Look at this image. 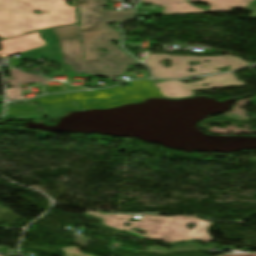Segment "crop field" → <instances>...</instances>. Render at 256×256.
Masks as SVG:
<instances>
[{
    "mask_svg": "<svg viewBox=\"0 0 256 256\" xmlns=\"http://www.w3.org/2000/svg\"><path fill=\"white\" fill-rule=\"evenodd\" d=\"M105 4L106 0H78L85 61L82 57L80 39L63 40L78 36L77 25L54 29L61 43L64 63L71 66L73 72L117 77L124 74L126 65L138 63L112 44L111 41L118 38L121 40V37L114 29L107 27L109 22L129 19L133 12H103L101 7ZM125 15H129V18H124ZM99 48H106L108 53L101 52ZM100 54L105 55L101 57ZM105 66H108V69H105Z\"/></svg>",
    "mask_w": 256,
    "mask_h": 256,
    "instance_id": "8a807250",
    "label": "crop field"
},
{
    "mask_svg": "<svg viewBox=\"0 0 256 256\" xmlns=\"http://www.w3.org/2000/svg\"><path fill=\"white\" fill-rule=\"evenodd\" d=\"M66 1L72 0H0V37L9 39L33 30L76 23V1H72V7ZM33 10L42 13L34 14Z\"/></svg>",
    "mask_w": 256,
    "mask_h": 256,
    "instance_id": "ac0d7876",
    "label": "crop field"
},
{
    "mask_svg": "<svg viewBox=\"0 0 256 256\" xmlns=\"http://www.w3.org/2000/svg\"><path fill=\"white\" fill-rule=\"evenodd\" d=\"M167 54H154L149 55V60L146 62L155 78H184L188 76L194 75H203L208 73H218L221 72V69H226V66H230V69H226L227 71L243 68L245 66H250V64L243 62L241 58L224 56V57H186V56H173V58L169 57ZM193 58V60H190ZM164 59L171 60V67L165 68ZM205 60H208V63H205ZM159 61H163V64H160ZM191 61L195 64V66H190ZM200 61L201 64H197L196 62ZM177 63V65H173ZM204 66V68H201ZM188 68H193L194 73L189 72ZM215 68L219 69L218 71L214 70ZM225 71V72H227Z\"/></svg>",
    "mask_w": 256,
    "mask_h": 256,
    "instance_id": "34b2d1b8",
    "label": "crop field"
},
{
    "mask_svg": "<svg viewBox=\"0 0 256 256\" xmlns=\"http://www.w3.org/2000/svg\"><path fill=\"white\" fill-rule=\"evenodd\" d=\"M133 86L127 88H112L101 91H89L74 93L82 110L86 109H107L122 104L142 102L151 98L150 94L139 81H133ZM141 87V89H138Z\"/></svg>",
    "mask_w": 256,
    "mask_h": 256,
    "instance_id": "412701ff",
    "label": "crop field"
},
{
    "mask_svg": "<svg viewBox=\"0 0 256 256\" xmlns=\"http://www.w3.org/2000/svg\"><path fill=\"white\" fill-rule=\"evenodd\" d=\"M187 224H197V226L189 230ZM212 225L207 221L197 219L195 217H172L169 218L162 231L156 238L167 243L183 242L189 240H200L210 242L212 238L207 233V229Z\"/></svg>",
    "mask_w": 256,
    "mask_h": 256,
    "instance_id": "f4fd0767",
    "label": "crop field"
},
{
    "mask_svg": "<svg viewBox=\"0 0 256 256\" xmlns=\"http://www.w3.org/2000/svg\"><path fill=\"white\" fill-rule=\"evenodd\" d=\"M152 81V80H151ZM164 81L162 83L156 84L155 80L152 82L155 87L160 88L159 92L163 97L169 99H183L195 96L191 90H200V89H211V88H220L226 86H245L246 84L236 78L233 73L206 77L204 81L197 82V86L193 84H186L180 81ZM207 83L208 86L203 87L202 84Z\"/></svg>",
    "mask_w": 256,
    "mask_h": 256,
    "instance_id": "dd49c442",
    "label": "crop field"
},
{
    "mask_svg": "<svg viewBox=\"0 0 256 256\" xmlns=\"http://www.w3.org/2000/svg\"><path fill=\"white\" fill-rule=\"evenodd\" d=\"M189 2H203L210 5V9L204 11L197 9L185 0H142L151 4L164 6L163 14L184 13H217L229 12L232 8H245L252 0H188Z\"/></svg>",
    "mask_w": 256,
    "mask_h": 256,
    "instance_id": "e52e79f7",
    "label": "crop field"
},
{
    "mask_svg": "<svg viewBox=\"0 0 256 256\" xmlns=\"http://www.w3.org/2000/svg\"><path fill=\"white\" fill-rule=\"evenodd\" d=\"M86 214L102 219L104 221L103 222L104 225L111 226L123 231L132 232L139 236H142L143 238L152 239V240H155V238L157 237L162 227L164 226V224L169 218V217L142 215L141 216L142 219L139 222H127L128 220L133 218V215H115L111 213L104 215L101 212H86ZM125 223H129L131 225L129 227H125L124 226ZM133 227L145 230L147 231V234L143 236L134 231H130L131 228ZM147 235H149V237Z\"/></svg>",
    "mask_w": 256,
    "mask_h": 256,
    "instance_id": "d8731c3e",
    "label": "crop field"
},
{
    "mask_svg": "<svg viewBox=\"0 0 256 256\" xmlns=\"http://www.w3.org/2000/svg\"><path fill=\"white\" fill-rule=\"evenodd\" d=\"M26 103H40L48 119L81 110L73 93L48 95Z\"/></svg>",
    "mask_w": 256,
    "mask_h": 256,
    "instance_id": "5a996713",
    "label": "crop field"
},
{
    "mask_svg": "<svg viewBox=\"0 0 256 256\" xmlns=\"http://www.w3.org/2000/svg\"><path fill=\"white\" fill-rule=\"evenodd\" d=\"M40 32L43 35V37L45 38V40L47 42V46L29 51V52L22 53L20 55V59H19L17 67L20 66L21 60L37 59L40 57H44L45 60H49L56 64H59L62 67L64 73L72 72L69 66L62 63L60 50H59V46H58V41H57V38H56L53 30L48 29V30H42Z\"/></svg>",
    "mask_w": 256,
    "mask_h": 256,
    "instance_id": "3316defc",
    "label": "crop field"
},
{
    "mask_svg": "<svg viewBox=\"0 0 256 256\" xmlns=\"http://www.w3.org/2000/svg\"><path fill=\"white\" fill-rule=\"evenodd\" d=\"M0 44L2 47L0 57H8L45 46L46 42L40 38L38 32H35L14 40L2 41Z\"/></svg>",
    "mask_w": 256,
    "mask_h": 256,
    "instance_id": "28ad6ade",
    "label": "crop field"
},
{
    "mask_svg": "<svg viewBox=\"0 0 256 256\" xmlns=\"http://www.w3.org/2000/svg\"><path fill=\"white\" fill-rule=\"evenodd\" d=\"M10 71L13 78L12 82H10L9 79H5L6 82L10 83L12 87V89H7L9 100L25 99L24 97L21 96L22 92L20 91L18 84L43 83L46 81L45 78L37 77L27 73H21V70L19 69H10ZM12 85L16 86L17 89H15Z\"/></svg>",
    "mask_w": 256,
    "mask_h": 256,
    "instance_id": "d1516ede",
    "label": "crop field"
},
{
    "mask_svg": "<svg viewBox=\"0 0 256 256\" xmlns=\"http://www.w3.org/2000/svg\"><path fill=\"white\" fill-rule=\"evenodd\" d=\"M7 108H8V112L6 115H10V116L39 115L33 110L34 108H37L36 105H7Z\"/></svg>",
    "mask_w": 256,
    "mask_h": 256,
    "instance_id": "22f410ed",
    "label": "crop field"
},
{
    "mask_svg": "<svg viewBox=\"0 0 256 256\" xmlns=\"http://www.w3.org/2000/svg\"><path fill=\"white\" fill-rule=\"evenodd\" d=\"M212 247H199L197 244H189L185 246H176L173 249H164L161 247H154L147 249L148 252H156V253H173V252H183V251H195V250H210Z\"/></svg>",
    "mask_w": 256,
    "mask_h": 256,
    "instance_id": "cbeb9de0",
    "label": "crop field"
},
{
    "mask_svg": "<svg viewBox=\"0 0 256 256\" xmlns=\"http://www.w3.org/2000/svg\"><path fill=\"white\" fill-rule=\"evenodd\" d=\"M152 97H162L160 93L155 89L153 84L149 81H140Z\"/></svg>",
    "mask_w": 256,
    "mask_h": 256,
    "instance_id": "5142ce71",
    "label": "crop field"
},
{
    "mask_svg": "<svg viewBox=\"0 0 256 256\" xmlns=\"http://www.w3.org/2000/svg\"><path fill=\"white\" fill-rule=\"evenodd\" d=\"M65 252H66L67 256H90L88 254L80 255V252L77 247L67 248V249H65Z\"/></svg>",
    "mask_w": 256,
    "mask_h": 256,
    "instance_id": "d9b57169",
    "label": "crop field"
},
{
    "mask_svg": "<svg viewBox=\"0 0 256 256\" xmlns=\"http://www.w3.org/2000/svg\"><path fill=\"white\" fill-rule=\"evenodd\" d=\"M45 90L47 93H54V92H63L65 91L63 86H46Z\"/></svg>",
    "mask_w": 256,
    "mask_h": 256,
    "instance_id": "733c2abd",
    "label": "crop field"
},
{
    "mask_svg": "<svg viewBox=\"0 0 256 256\" xmlns=\"http://www.w3.org/2000/svg\"><path fill=\"white\" fill-rule=\"evenodd\" d=\"M249 5L256 6V0L252 1ZM249 18H256V15H250Z\"/></svg>",
    "mask_w": 256,
    "mask_h": 256,
    "instance_id": "4a817a6b",
    "label": "crop field"
},
{
    "mask_svg": "<svg viewBox=\"0 0 256 256\" xmlns=\"http://www.w3.org/2000/svg\"><path fill=\"white\" fill-rule=\"evenodd\" d=\"M4 105L0 106V116L3 114Z\"/></svg>",
    "mask_w": 256,
    "mask_h": 256,
    "instance_id": "bc2a9ffb",
    "label": "crop field"
},
{
    "mask_svg": "<svg viewBox=\"0 0 256 256\" xmlns=\"http://www.w3.org/2000/svg\"><path fill=\"white\" fill-rule=\"evenodd\" d=\"M3 102V98L2 97H0V103H2Z\"/></svg>",
    "mask_w": 256,
    "mask_h": 256,
    "instance_id": "214f88e0",
    "label": "crop field"
}]
</instances>
